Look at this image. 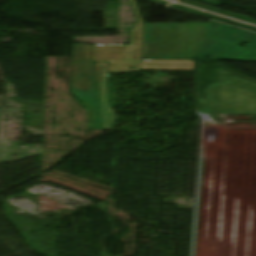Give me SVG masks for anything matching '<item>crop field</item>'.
<instances>
[{"label": "crop field", "mask_w": 256, "mask_h": 256, "mask_svg": "<svg viewBox=\"0 0 256 256\" xmlns=\"http://www.w3.org/2000/svg\"><path fill=\"white\" fill-rule=\"evenodd\" d=\"M209 25L145 24L143 58L192 59Z\"/></svg>", "instance_id": "crop-field-1"}, {"label": "crop field", "mask_w": 256, "mask_h": 256, "mask_svg": "<svg viewBox=\"0 0 256 256\" xmlns=\"http://www.w3.org/2000/svg\"><path fill=\"white\" fill-rule=\"evenodd\" d=\"M242 42L248 47H238ZM256 61V34L212 21L193 59Z\"/></svg>", "instance_id": "crop-field-2"}, {"label": "crop field", "mask_w": 256, "mask_h": 256, "mask_svg": "<svg viewBox=\"0 0 256 256\" xmlns=\"http://www.w3.org/2000/svg\"><path fill=\"white\" fill-rule=\"evenodd\" d=\"M138 23L130 30L129 45H95L92 61H110L109 72L140 71L143 23L135 0H130Z\"/></svg>", "instance_id": "crop-field-3"}, {"label": "crop field", "mask_w": 256, "mask_h": 256, "mask_svg": "<svg viewBox=\"0 0 256 256\" xmlns=\"http://www.w3.org/2000/svg\"><path fill=\"white\" fill-rule=\"evenodd\" d=\"M92 46L73 47L70 91L77 98L79 90H108V63L91 61Z\"/></svg>", "instance_id": "crop-field-4"}, {"label": "crop field", "mask_w": 256, "mask_h": 256, "mask_svg": "<svg viewBox=\"0 0 256 256\" xmlns=\"http://www.w3.org/2000/svg\"><path fill=\"white\" fill-rule=\"evenodd\" d=\"M79 98L93 107L95 129H113L108 91H80Z\"/></svg>", "instance_id": "crop-field-5"}, {"label": "crop field", "mask_w": 256, "mask_h": 256, "mask_svg": "<svg viewBox=\"0 0 256 256\" xmlns=\"http://www.w3.org/2000/svg\"><path fill=\"white\" fill-rule=\"evenodd\" d=\"M88 109H89V119H90V128H94V124H93V114H92V108L91 106L85 104Z\"/></svg>", "instance_id": "crop-field-6"}, {"label": "crop field", "mask_w": 256, "mask_h": 256, "mask_svg": "<svg viewBox=\"0 0 256 256\" xmlns=\"http://www.w3.org/2000/svg\"><path fill=\"white\" fill-rule=\"evenodd\" d=\"M197 1H201V2L211 4V5L219 6L220 0H197Z\"/></svg>", "instance_id": "crop-field-7"}]
</instances>
